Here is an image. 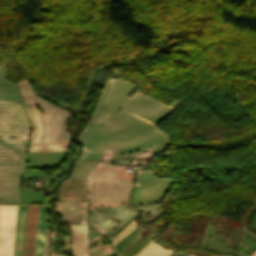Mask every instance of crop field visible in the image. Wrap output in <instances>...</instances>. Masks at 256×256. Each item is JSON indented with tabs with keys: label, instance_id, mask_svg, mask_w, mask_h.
Returning <instances> with one entry per match:
<instances>
[{
	"label": "crop field",
	"instance_id": "8a807250",
	"mask_svg": "<svg viewBox=\"0 0 256 256\" xmlns=\"http://www.w3.org/2000/svg\"><path fill=\"white\" fill-rule=\"evenodd\" d=\"M16 86L33 124L30 145L67 143L65 123L70 113L37 97L27 79L18 81ZM34 104L44 113H40Z\"/></svg>",
	"mask_w": 256,
	"mask_h": 256
},
{
	"label": "crop field",
	"instance_id": "ac0d7876",
	"mask_svg": "<svg viewBox=\"0 0 256 256\" xmlns=\"http://www.w3.org/2000/svg\"><path fill=\"white\" fill-rule=\"evenodd\" d=\"M125 167L96 166L90 183V209L117 207L127 204L134 173H125Z\"/></svg>",
	"mask_w": 256,
	"mask_h": 256
},
{
	"label": "crop field",
	"instance_id": "34b2d1b8",
	"mask_svg": "<svg viewBox=\"0 0 256 256\" xmlns=\"http://www.w3.org/2000/svg\"><path fill=\"white\" fill-rule=\"evenodd\" d=\"M17 206L2 205L0 220V256H12Z\"/></svg>",
	"mask_w": 256,
	"mask_h": 256
},
{
	"label": "crop field",
	"instance_id": "412701ff",
	"mask_svg": "<svg viewBox=\"0 0 256 256\" xmlns=\"http://www.w3.org/2000/svg\"><path fill=\"white\" fill-rule=\"evenodd\" d=\"M89 180L66 179L59 189V201H86Z\"/></svg>",
	"mask_w": 256,
	"mask_h": 256
},
{
	"label": "crop field",
	"instance_id": "f4fd0767",
	"mask_svg": "<svg viewBox=\"0 0 256 256\" xmlns=\"http://www.w3.org/2000/svg\"><path fill=\"white\" fill-rule=\"evenodd\" d=\"M55 210L60 214L63 223L85 224L84 202H57Z\"/></svg>",
	"mask_w": 256,
	"mask_h": 256
},
{
	"label": "crop field",
	"instance_id": "dd49c442",
	"mask_svg": "<svg viewBox=\"0 0 256 256\" xmlns=\"http://www.w3.org/2000/svg\"><path fill=\"white\" fill-rule=\"evenodd\" d=\"M38 206H28L24 256H34Z\"/></svg>",
	"mask_w": 256,
	"mask_h": 256
},
{
	"label": "crop field",
	"instance_id": "e52e79f7",
	"mask_svg": "<svg viewBox=\"0 0 256 256\" xmlns=\"http://www.w3.org/2000/svg\"><path fill=\"white\" fill-rule=\"evenodd\" d=\"M72 240L70 251L73 256H82V251L86 239L85 226L70 224Z\"/></svg>",
	"mask_w": 256,
	"mask_h": 256
},
{
	"label": "crop field",
	"instance_id": "d8731c3e",
	"mask_svg": "<svg viewBox=\"0 0 256 256\" xmlns=\"http://www.w3.org/2000/svg\"><path fill=\"white\" fill-rule=\"evenodd\" d=\"M46 214L45 208L39 206L35 245V256H43Z\"/></svg>",
	"mask_w": 256,
	"mask_h": 256
},
{
	"label": "crop field",
	"instance_id": "5a996713",
	"mask_svg": "<svg viewBox=\"0 0 256 256\" xmlns=\"http://www.w3.org/2000/svg\"><path fill=\"white\" fill-rule=\"evenodd\" d=\"M67 146H68V144L36 145V146H30L29 151L66 150Z\"/></svg>",
	"mask_w": 256,
	"mask_h": 256
},
{
	"label": "crop field",
	"instance_id": "3316defc",
	"mask_svg": "<svg viewBox=\"0 0 256 256\" xmlns=\"http://www.w3.org/2000/svg\"><path fill=\"white\" fill-rule=\"evenodd\" d=\"M164 251H165V249L161 248V246H159L153 242L144 251H142L138 256H160Z\"/></svg>",
	"mask_w": 256,
	"mask_h": 256
},
{
	"label": "crop field",
	"instance_id": "28ad6ade",
	"mask_svg": "<svg viewBox=\"0 0 256 256\" xmlns=\"http://www.w3.org/2000/svg\"><path fill=\"white\" fill-rule=\"evenodd\" d=\"M152 235H153L152 233L149 234L147 237H145L142 241H140L135 247H133V248H132L128 253H126L124 256H127L129 253H131L135 248H137L141 243H143L146 239H148V238H149L150 236H152ZM154 236H155V235H154ZM154 236H153V237H154ZM150 238H151V237H150ZM150 238H149V239H150ZM149 239H148V240H149ZM150 240H151V239H150ZM150 240H149V241H150ZM146 241H147V240H146ZM146 241H145V242H146ZM149 241H147L146 243H148ZM145 242H144V243H145ZM144 243H143V244H144ZM146 243H145V244H146ZM151 243H152V242L150 241L148 244H146V245L144 244L145 246L142 244L144 247L140 245L141 247H140V246H139V247H140V248L143 247V248H142L140 251H138V250L140 249V248L138 247L139 249L136 250V251L134 250V251H135L134 253H136L137 251H138V252H137L135 255H133L134 253H132L130 256H132V255H133V256H136L137 254H139L143 249H145V248H146L149 244H151Z\"/></svg>",
	"mask_w": 256,
	"mask_h": 256
},
{
	"label": "crop field",
	"instance_id": "d1516ede",
	"mask_svg": "<svg viewBox=\"0 0 256 256\" xmlns=\"http://www.w3.org/2000/svg\"><path fill=\"white\" fill-rule=\"evenodd\" d=\"M133 223V221L130 223V224H128L123 230H121L116 236H114L113 238H112V240H114L117 236H119L127 227H129L131 224ZM135 225H134V223L129 227V228H127L119 237H117L114 241H113V243L115 242V241H117L121 236H123L126 232H128L132 227H134ZM136 228V226L134 227V228H132L129 232H131L133 229H135ZM128 232V233H129ZM128 233H126L124 236H126ZM123 236V237H124ZM123 237H121L119 240H121ZM118 240V241H119ZM117 241V242H118ZM117 242H115V243H117ZM114 243V244H115Z\"/></svg>",
	"mask_w": 256,
	"mask_h": 256
},
{
	"label": "crop field",
	"instance_id": "22f410ed",
	"mask_svg": "<svg viewBox=\"0 0 256 256\" xmlns=\"http://www.w3.org/2000/svg\"><path fill=\"white\" fill-rule=\"evenodd\" d=\"M209 225H210V221H208L207 229H206V233H205V236H204V238H203V241H202V244H201V246H200V247H202V246H203V244H204V241H205V239H206V235H207V231H208V227H209ZM215 227H216V226L210 225V227H209V231H208V235H207V236L212 237Z\"/></svg>",
	"mask_w": 256,
	"mask_h": 256
},
{
	"label": "crop field",
	"instance_id": "cbeb9de0",
	"mask_svg": "<svg viewBox=\"0 0 256 256\" xmlns=\"http://www.w3.org/2000/svg\"><path fill=\"white\" fill-rule=\"evenodd\" d=\"M239 251L243 252L246 255L252 252V250L244 244H241Z\"/></svg>",
	"mask_w": 256,
	"mask_h": 256
},
{
	"label": "crop field",
	"instance_id": "5142ce71",
	"mask_svg": "<svg viewBox=\"0 0 256 256\" xmlns=\"http://www.w3.org/2000/svg\"><path fill=\"white\" fill-rule=\"evenodd\" d=\"M140 236H142L141 234L138 235L137 237H135L133 240H131L125 247H123L121 250L118 251V253H121L122 251H124L129 245H131L136 239H138Z\"/></svg>",
	"mask_w": 256,
	"mask_h": 256
},
{
	"label": "crop field",
	"instance_id": "d9b57169",
	"mask_svg": "<svg viewBox=\"0 0 256 256\" xmlns=\"http://www.w3.org/2000/svg\"><path fill=\"white\" fill-rule=\"evenodd\" d=\"M233 251V249H229V248H218L217 252H221V253H231Z\"/></svg>",
	"mask_w": 256,
	"mask_h": 256
},
{
	"label": "crop field",
	"instance_id": "733c2abd",
	"mask_svg": "<svg viewBox=\"0 0 256 256\" xmlns=\"http://www.w3.org/2000/svg\"><path fill=\"white\" fill-rule=\"evenodd\" d=\"M244 235H246L247 237L251 238L253 241L256 242V238L251 236L250 234H248L247 232H244Z\"/></svg>",
	"mask_w": 256,
	"mask_h": 256
},
{
	"label": "crop field",
	"instance_id": "4a817a6b",
	"mask_svg": "<svg viewBox=\"0 0 256 256\" xmlns=\"http://www.w3.org/2000/svg\"><path fill=\"white\" fill-rule=\"evenodd\" d=\"M140 229H141V228H140ZM142 229H143V228H142ZM138 230H139V229H138ZM138 230H137V231H138ZM137 231H136V232H137ZM139 231H140V230H139ZM136 232H134L133 234H135ZM133 234H132V235H133ZM132 235H130L128 238H130ZM128 238H126V239H125L124 241H122L118 246H116L115 249H116L117 247H119L123 242H125Z\"/></svg>",
	"mask_w": 256,
	"mask_h": 256
},
{
	"label": "crop field",
	"instance_id": "bc2a9ffb",
	"mask_svg": "<svg viewBox=\"0 0 256 256\" xmlns=\"http://www.w3.org/2000/svg\"><path fill=\"white\" fill-rule=\"evenodd\" d=\"M173 249H174V248H173ZM170 252H171V251L167 249L161 256H168V255L170 254Z\"/></svg>",
	"mask_w": 256,
	"mask_h": 256
},
{
	"label": "crop field",
	"instance_id": "214f88e0",
	"mask_svg": "<svg viewBox=\"0 0 256 256\" xmlns=\"http://www.w3.org/2000/svg\"><path fill=\"white\" fill-rule=\"evenodd\" d=\"M140 226H141V225H140ZM140 226H138L137 228H139ZM137 228H136V229H137ZM136 229H135V230H136ZM135 230H133L132 232H134ZM132 232H131V233H132ZM131 233H129L127 236H129ZM127 236H126V237H127ZM126 237H124L122 240H124ZM122 240H121V241H122ZM121 241H119L117 244H115L114 247H115L116 245H118Z\"/></svg>",
	"mask_w": 256,
	"mask_h": 256
},
{
	"label": "crop field",
	"instance_id": "92a150f3",
	"mask_svg": "<svg viewBox=\"0 0 256 256\" xmlns=\"http://www.w3.org/2000/svg\"><path fill=\"white\" fill-rule=\"evenodd\" d=\"M143 230H144V229H143ZM143 230H142V231H143ZM142 231H140V232H142ZM140 232H139V233H140ZM139 233H138V234H139ZM138 234H136L135 236H137ZM135 236H134V237H135ZM134 237H133V238H134ZM131 239H132V238H131ZM131 239H130V240H131ZM130 240H129V241H130ZM127 242H128V241H127ZM127 242H126V243H127ZM124 245H125V243H124L122 246H120L118 249H116V250L118 251V250H119L120 248H122Z\"/></svg>",
	"mask_w": 256,
	"mask_h": 256
},
{
	"label": "crop field",
	"instance_id": "dafd665d",
	"mask_svg": "<svg viewBox=\"0 0 256 256\" xmlns=\"http://www.w3.org/2000/svg\"><path fill=\"white\" fill-rule=\"evenodd\" d=\"M229 232L240 233V230H229Z\"/></svg>",
	"mask_w": 256,
	"mask_h": 256
},
{
	"label": "crop field",
	"instance_id": "00972430",
	"mask_svg": "<svg viewBox=\"0 0 256 256\" xmlns=\"http://www.w3.org/2000/svg\"><path fill=\"white\" fill-rule=\"evenodd\" d=\"M251 256H256V250H255V252Z\"/></svg>",
	"mask_w": 256,
	"mask_h": 256
},
{
	"label": "crop field",
	"instance_id": "a9b5d70f",
	"mask_svg": "<svg viewBox=\"0 0 256 256\" xmlns=\"http://www.w3.org/2000/svg\"><path fill=\"white\" fill-rule=\"evenodd\" d=\"M225 244H226V243H220V245H223V246H225Z\"/></svg>",
	"mask_w": 256,
	"mask_h": 256
},
{
	"label": "crop field",
	"instance_id": "4177f3b9",
	"mask_svg": "<svg viewBox=\"0 0 256 256\" xmlns=\"http://www.w3.org/2000/svg\"><path fill=\"white\" fill-rule=\"evenodd\" d=\"M237 256H241V255L237 253Z\"/></svg>",
	"mask_w": 256,
	"mask_h": 256
},
{
	"label": "crop field",
	"instance_id": "730fd06b",
	"mask_svg": "<svg viewBox=\"0 0 256 256\" xmlns=\"http://www.w3.org/2000/svg\"><path fill=\"white\" fill-rule=\"evenodd\" d=\"M210 243V242H209ZM208 248V247H207Z\"/></svg>",
	"mask_w": 256,
	"mask_h": 256
},
{
	"label": "crop field",
	"instance_id": "eef30255",
	"mask_svg": "<svg viewBox=\"0 0 256 256\" xmlns=\"http://www.w3.org/2000/svg\"><path fill=\"white\" fill-rule=\"evenodd\" d=\"M220 256H222V255H220Z\"/></svg>",
	"mask_w": 256,
	"mask_h": 256
},
{
	"label": "crop field",
	"instance_id": "ae1a2a85",
	"mask_svg": "<svg viewBox=\"0 0 256 256\" xmlns=\"http://www.w3.org/2000/svg\"><path fill=\"white\" fill-rule=\"evenodd\" d=\"M191 256H193V255H191Z\"/></svg>",
	"mask_w": 256,
	"mask_h": 256
}]
</instances>
